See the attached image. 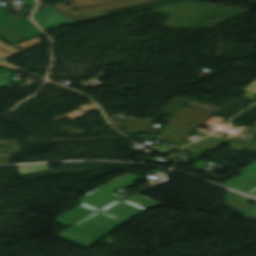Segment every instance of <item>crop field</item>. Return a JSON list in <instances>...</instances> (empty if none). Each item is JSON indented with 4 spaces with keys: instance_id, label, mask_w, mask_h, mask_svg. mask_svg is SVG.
Listing matches in <instances>:
<instances>
[{
    "instance_id": "3316defc",
    "label": "crop field",
    "mask_w": 256,
    "mask_h": 256,
    "mask_svg": "<svg viewBox=\"0 0 256 256\" xmlns=\"http://www.w3.org/2000/svg\"><path fill=\"white\" fill-rule=\"evenodd\" d=\"M12 74H0V86H10V77Z\"/></svg>"
},
{
    "instance_id": "28ad6ade",
    "label": "crop field",
    "mask_w": 256,
    "mask_h": 256,
    "mask_svg": "<svg viewBox=\"0 0 256 256\" xmlns=\"http://www.w3.org/2000/svg\"><path fill=\"white\" fill-rule=\"evenodd\" d=\"M184 146V145H183ZM179 147V146H178ZM182 147V146H181ZM177 148V147H176ZM180 148V147H179ZM179 148H177V149H179ZM177 149H175V150H173L172 152H170L169 154H168V156H170L172 153H174Z\"/></svg>"
},
{
    "instance_id": "22f410ed",
    "label": "crop field",
    "mask_w": 256,
    "mask_h": 256,
    "mask_svg": "<svg viewBox=\"0 0 256 256\" xmlns=\"http://www.w3.org/2000/svg\"><path fill=\"white\" fill-rule=\"evenodd\" d=\"M255 128H256V126H255Z\"/></svg>"
},
{
    "instance_id": "412701ff",
    "label": "crop field",
    "mask_w": 256,
    "mask_h": 256,
    "mask_svg": "<svg viewBox=\"0 0 256 256\" xmlns=\"http://www.w3.org/2000/svg\"><path fill=\"white\" fill-rule=\"evenodd\" d=\"M42 32L29 20L27 16L18 20L0 10V38L14 45Z\"/></svg>"
},
{
    "instance_id": "dd49c442",
    "label": "crop field",
    "mask_w": 256,
    "mask_h": 256,
    "mask_svg": "<svg viewBox=\"0 0 256 256\" xmlns=\"http://www.w3.org/2000/svg\"><path fill=\"white\" fill-rule=\"evenodd\" d=\"M224 142L230 143L229 148L238 152H240L246 146V145H242V144H238V143H234V142H230V141H226V140H222L214 137H209L202 141L196 142L190 146L213 151L216 147H218ZM246 148L256 150V142L251 141L246 146Z\"/></svg>"
},
{
    "instance_id": "ac0d7876",
    "label": "crop field",
    "mask_w": 256,
    "mask_h": 256,
    "mask_svg": "<svg viewBox=\"0 0 256 256\" xmlns=\"http://www.w3.org/2000/svg\"><path fill=\"white\" fill-rule=\"evenodd\" d=\"M157 1L159 0H72L53 7L73 21L79 22L105 17V13L108 12ZM66 3H71L73 5L65 6ZM85 6L87 7L85 8ZM76 7H79L80 9L73 11L72 9ZM90 8H92V10H90Z\"/></svg>"
},
{
    "instance_id": "d8731c3e",
    "label": "crop field",
    "mask_w": 256,
    "mask_h": 256,
    "mask_svg": "<svg viewBox=\"0 0 256 256\" xmlns=\"http://www.w3.org/2000/svg\"><path fill=\"white\" fill-rule=\"evenodd\" d=\"M245 90L249 91L250 93L244 95L243 98L254 99V97L256 96V80L252 84H250Z\"/></svg>"
},
{
    "instance_id": "34b2d1b8",
    "label": "crop field",
    "mask_w": 256,
    "mask_h": 256,
    "mask_svg": "<svg viewBox=\"0 0 256 256\" xmlns=\"http://www.w3.org/2000/svg\"><path fill=\"white\" fill-rule=\"evenodd\" d=\"M211 114L202 112V109H180L167 121L169 124L160 132L165 139L182 141L206 122Z\"/></svg>"
},
{
    "instance_id": "e52e79f7",
    "label": "crop field",
    "mask_w": 256,
    "mask_h": 256,
    "mask_svg": "<svg viewBox=\"0 0 256 256\" xmlns=\"http://www.w3.org/2000/svg\"><path fill=\"white\" fill-rule=\"evenodd\" d=\"M18 169H19V172H20L21 175L48 170V168L45 164L18 166Z\"/></svg>"
},
{
    "instance_id": "5a996713",
    "label": "crop field",
    "mask_w": 256,
    "mask_h": 256,
    "mask_svg": "<svg viewBox=\"0 0 256 256\" xmlns=\"http://www.w3.org/2000/svg\"><path fill=\"white\" fill-rule=\"evenodd\" d=\"M119 202H121V201H119ZM119 202H117V203H119ZM117 203H115V204H113V205H111V206H109V207H107V208H105L106 210L107 209H109V208H111L112 206H114V205H116ZM146 211V210H145ZM144 212V211H143ZM142 213V212H141ZM97 214V213H96ZM140 214V213H139ZM95 215V214H94ZM93 216V215H92ZM91 217V216H90ZM89 218V217H88ZM87 219V218H86ZM86 219H84V220H86ZM84 220H82V221H84ZM82 221H80V222H82ZM80 222H78V223H80ZM77 223V224H78ZM76 225V224H75ZM57 237H59V238H61V239H64V240H66V241H69V242H71V243H73V244H76V245H78V246H81V247H83V248H85V249H87V248H89V246H87V245H84V244H81V243H79V242H76V241H73V240H71V239H68V238H65V237H63V236H60V235H57Z\"/></svg>"
},
{
    "instance_id": "8a807250",
    "label": "crop field",
    "mask_w": 256,
    "mask_h": 256,
    "mask_svg": "<svg viewBox=\"0 0 256 256\" xmlns=\"http://www.w3.org/2000/svg\"><path fill=\"white\" fill-rule=\"evenodd\" d=\"M141 179L140 177L131 174L106 186L96 189L87 195L79 198L81 203L76 208L58 216L55 220L68 227L74 225L79 220L103 209L104 207L121 199L120 196L111 193L112 191Z\"/></svg>"
},
{
    "instance_id": "d1516ede",
    "label": "crop field",
    "mask_w": 256,
    "mask_h": 256,
    "mask_svg": "<svg viewBox=\"0 0 256 256\" xmlns=\"http://www.w3.org/2000/svg\"><path fill=\"white\" fill-rule=\"evenodd\" d=\"M142 196V195H141ZM144 197V196H143ZM139 203V202H138ZM141 204V203H140Z\"/></svg>"
},
{
    "instance_id": "f4fd0767",
    "label": "crop field",
    "mask_w": 256,
    "mask_h": 256,
    "mask_svg": "<svg viewBox=\"0 0 256 256\" xmlns=\"http://www.w3.org/2000/svg\"><path fill=\"white\" fill-rule=\"evenodd\" d=\"M33 19L43 30L74 23L51 6L35 12Z\"/></svg>"
}]
</instances>
